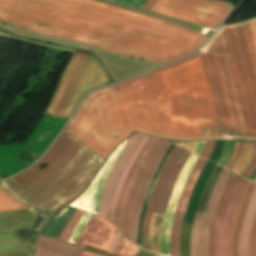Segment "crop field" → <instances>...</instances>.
<instances>
[{
  "mask_svg": "<svg viewBox=\"0 0 256 256\" xmlns=\"http://www.w3.org/2000/svg\"><path fill=\"white\" fill-rule=\"evenodd\" d=\"M173 147H174V145L171 144V146H170L168 152H167L166 155L163 157V159H162V161H161V163H160V166H159V168H158V170H157V173H156V175H155V177H154V179H153V181H152V183H151V185H150V188H149V190H148L147 196H146V198H145L144 205H143L142 212H141L140 219H139V224H138V232H137L136 244L139 245V246H140V243H141V234H142L143 219H144V215H145V211H146L147 204H148V202H149V199H150V197H151V194H152V192H153V189H154V187H155V184H156V182H157V179H158V177H159V174H160V172H161V170H162V167H163V165H164V163H165V161H166V159H167L169 153H170L171 150L173 149Z\"/></svg>",
  "mask_w": 256,
  "mask_h": 256,
  "instance_id": "obj_16",
  "label": "crop field"
},
{
  "mask_svg": "<svg viewBox=\"0 0 256 256\" xmlns=\"http://www.w3.org/2000/svg\"><path fill=\"white\" fill-rule=\"evenodd\" d=\"M36 247L61 253L67 256H84L79 254L83 248L82 246L43 235H41Z\"/></svg>",
  "mask_w": 256,
  "mask_h": 256,
  "instance_id": "obj_10",
  "label": "crop field"
},
{
  "mask_svg": "<svg viewBox=\"0 0 256 256\" xmlns=\"http://www.w3.org/2000/svg\"><path fill=\"white\" fill-rule=\"evenodd\" d=\"M140 248L124 239L122 236L119 239L114 255L118 256H134Z\"/></svg>",
  "mask_w": 256,
  "mask_h": 256,
  "instance_id": "obj_18",
  "label": "crop field"
},
{
  "mask_svg": "<svg viewBox=\"0 0 256 256\" xmlns=\"http://www.w3.org/2000/svg\"><path fill=\"white\" fill-rule=\"evenodd\" d=\"M255 213H256V188L252 194L249 206L247 208V211L242 223L238 256H247L248 236H249L250 228H251Z\"/></svg>",
  "mask_w": 256,
  "mask_h": 256,
  "instance_id": "obj_12",
  "label": "crop field"
},
{
  "mask_svg": "<svg viewBox=\"0 0 256 256\" xmlns=\"http://www.w3.org/2000/svg\"><path fill=\"white\" fill-rule=\"evenodd\" d=\"M204 142L205 141L197 142L196 147H195L194 150H193V148H194L196 142H192V143H177V145H179V146H181V147H183V148H185V149H187V150H189L191 152L193 150L192 153H194V154L199 156V154H200V152H201V150H202V148L204 146Z\"/></svg>",
  "mask_w": 256,
  "mask_h": 256,
  "instance_id": "obj_23",
  "label": "crop field"
},
{
  "mask_svg": "<svg viewBox=\"0 0 256 256\" xmlns=\"http://www.w3.org/2000/svg\"><path fill=\"white\" fill-rule=\"evenodd\" d=\"M190 153L184 151L175 145L174 149L170 153L164 168L160 174L150 202L148 204L144 226H143V235H142V243L141 247L148 250V237L150 231V225L153 213L156 214H165L167 204L175 183L184 163L186 162ZM197 157L190 154L182 172L180 173L169 204L165 214V217L162 215L154 214L150 237H149V250L152 252H156L160 254V234H161V226H162V234H161V254L164 256H170V238H171V227L172 221L176 209V205L181 193V190L184 186L185 180L195 162Z\"/></svg>",
  "mask_w": 256,
  "mask_h": 256,
  "instance_id": "obj_1",
  "label": "crop field"
},
{
  "mask_svg": "<svg viewBox=\"0 0 256 256\" xmlns=\"http://www.w3.org/2000/svg\"><path fill=\"white\" fill-rule=\"evenodd\" d=\"M84 212L76 210V212L72 215L69 219L67 225L65 226L64 230L62 231L59 239L68 241L69 237L71 236L72 232L74 231L79 219L83 216Z\"/></svg>",
  "mask_w": 256,
  "mask_h": 256,
  "instance_id": "obj_19",
  "label": "crop field"
},
{
  "mask_svg": "<svg viewBox=\"0 0 256 256\" xmlns=\"http://www.w3.org/2000/svg\"><path fill=\"white\" fill-rule=\"evenodd\" d=\"M119 237H120V235H119V233L117 231V233H116V235H115V237H114V239H113V241L111 243V246H110V248L108 250V253H111V254L113 253V250H114V248H115V246H116V244L118 242Z\"/></svg>",
  "mask_w": 256,
  "mask_h": 256,
  "instance_id": "obj_31",
  "label": "crop field"
},
{
  "mask_svg": "<svg viewBox=\"0 0 256 256\" xmlns=\"http://www.w3.org/2000/svg\"><path fill=\"white\" fill-rule=\"evenodd\" d=\"M251 183L252 182H248L242 196H241V199H240V202H239V205H238V208H237V211H236V215H235V219H234V223H233V227H232V231H231V235H230V243H229V256H232L233 255V238H234V234H235V228H236V224H237V220H238V216H239V213L241 211V208L243 206V203L245 201V198L247 196V192L251 186Z\"/></svg>",
  "mask_w": 256,
  "mask_h": 256,
  "instance_id": "obj_20",
  "label": "crop field"
},
{
  "mask_svg": "<svg viewBox=\"0 0 256 256\" xmlns=\"http://www.w3.org/2000/svg\"><path fill=\"white\" fill-rule=\"evenodd\" d=\"M159 256V255H158Z\"/></svg>",
  "mask_w": 256,
  "mask_h": 256,
  "instance_id": "obj_35",
  "label": "crop field"
},
{
  "mask_svg": "<svg viewBox=\"0 0 256 256\" xmlns=\"http://www.w3.org/2000/svg\"><path fill=\"white\" fill-rule=\"evenodd\" d=\"M254 181H256V178L254 179Z\"/></svg>",
  "mask_w": 256,
  "mask_h": 256,
  "instance_id": "obj_33",
  "label": "crop field"
},
{
  "mask_svg": "<svg viewBox=\"0 0 256 256\" xmlns=\"http://www.w3.org/2000/svg\"><path fill=\"white\" fill-rule=\"evenodd\" d=\"M84 250H87V251H90V252H93V253H96V254H99V255H102V256H114V255L105 253L103 251H100L98 249L90 248V247H87V246L84 247ZM151 255H152V253H149V252H146V251H143V250L140 249V251L137 253L136 256H151Z\"/></svg>",
  "mask_w": 256,
  "mask_h": 256,
  "instance_id": "obj_25",
  "label": "crop field"
},
{
  "mask_svg": "<svg viewBox=\"0 0 256 256\" xmlns=\"http://www.w3.org/2000/svg\"><path fill=\"white\" fill-rule=\"evenodd\" d=\"M213 145H214V141H206V146L203 149V152L200 155V157H204V158L208 159V157L213 149Z\"/></svg>",
  "mask_w": 256,
  "mask_h": 256,
  "instance_id": "obj_27",
  "label": "crop field"
},
{
  "mask_svg": "<svg viewBox=\"0 0 256 256\" xmlns=\"http://www.w3.org/2000/svg\"><path fill=\"white\" fill-rule=\"evenodd\" d=\"M248 256H256V216L252 225Z\"/></svg>",
  "mask_w": 256,
  "mask_h": 256,
  "instance_id": "obj_22",
  "label": "crop field"
},
{
  "mask_svg": "<svg viewBox=\"0 0 256 256\" xmlns=\"http://www.w3.org/2000/svg\"><path fill=\"white\" fill-rule=\"evenodd\" d=\"M157 141H158L157 138L151 137V139L149 140L146 147L138 157L137 161L135 162L131 172L129 173L126 179L121 197L118 201V206H117V210H116V214L113 222V224L116 226L119 232L121 231L124 213H125L127 202L131 194L133 183L135 182L142 166L144 165L149 153L151 152V150L153 149Z\"/></svg>",
  "mask_w": 256,
  "mask_h": 256,
  "instance_id": "obj_8",
  "label": "crop field"
},
{
  "mask_svg": "<svg viewBox=\"0 0 256 256\" xmlns=\"http://www.w3.org/2000/svg\"><path fill=\"white\" fill-rule=\"evenodd\" d=\"M228 173L227 169H224L223 173L221 174L215 189L213 191V194L211 196V199L209 201V204L207 206V210H206V214L204 217V221H203V225H202V229H201V234H200V252H199V256H206V235H207V230H208V226L212 217V213L215 207V203L217 200V196L218 193L220 191V188L223 184V181L226 177Z\"/></svg>",
  "mask_w": 256,
  "mask_h": 256,
  "instance_id": "obj_11",
  "label": "crop field"
},
{
  "mask_svg": "<svg viewBox=\"0 0 256 256\" xmlns=\"http://www.w3.org/2000/svg\"><path fill=\"white\" fill-rule=\"evenodd\" d=\"M230 174H231V171L229 172V174H228V176H227V178H226V180H225V182H224V185H223V187H222V189H221V192H222V190H223V188H224V186H225V184H226V182H227V180H228ZM221 192H220V194H219V196H218V200H217V203H216V207H217L218 201H219V199H220ZM216 207H215V210H216ZM215 210H214V214H215ZM214 214H213V217H212V221H211V225H210V230H211V226H212ZM210 230H209V235H210ZM208 249H209V236H208V242H207V256H208Z\"/></svg>",
  "mask_w": 256,
  "mask_h": 256,
  "instance_id": "obj_29",
  "label": "crop field"
},
{
  "mask_svg": "<svg viewBox=\"0 0 256 256\" xmlns=\"http://www.w3.org/2000/svg\"><path fill=\"white\" fill-rule=\"evenodd\" d=\"M143 137L141 134H133L129 140L126 142L124 147L122 148L121 152L119 153L112 169L109 172L108 178L104 184L99 209H98V215L106 217L107 210L110 204L111 200V194L113 187L115 185V182L127 160L132 150L135 148L137 143L140 141V139Z\"/></svg>",
  "mask_w": 256,
  "mask_h": 256,
  "instance_id": "obj_5",
  "label": "crop field"
},
{
  "mask_svg": "<svg viewBox=\"0 0 256 256\" xmlns=\"http://www.w3.org/2000/svg\"><path fill=\"white\" fill-rule=\"evenodd\" d=\"M166 144H167V141L159 139L157 145L152 150L150 156L148 157L145 165L143 166V168L133 186L132 194H131V197H130V200H129V203H128V206L126 209L124 223H123V227H122V231H121V234L128 239H130V237H131L134 215H135V211L137 208V204L139 201L141 191L143 189L146 179H147L157 157L159 156L160 152L162 151V149L164 148V146Z\"/></svg>",
  "mask_w": 256,
  "mask_h": 256,
  "instance_id": "obj_3",
  "label": "crop field"
},
{
  "mask_svg": "<svg viewBox=\"0 0 256 256\" xmlns=\"http://www.w3.org/2000/svg\"><path fill=\"white\" fill-rule=\"evenodd\" d=\"M255 185H256V183L253 182V184H252V186H251V188L249 190L248 196L246 198V201L244 203V206L242 208V211L240 213V216H239V220H238V224H237V229H236V234H235V238H234V256H237V253H238V240H239L240 227H241V223H242V220H243V217H244L247 205H248L249 200H250L251 193H252Z\"/></svg>",
  "mask_w": 256,
  "mask_h": 256,
  "instance_id": "obj_21",
  "label": "crop field"
},
{
  "mask_svg": "<svg viewBox=\"0 0 256 256\" xmlns=\"http://www.w3.org/2000/svg\"><path fill=\"white\" fill-rule=\"evenodd\" d=\"M239 143H240V142H235V144H234L233 154H232V156H231L229 162H228L227 165H226V167H228V168H229V166L231 165V163L233 162V160H234V158H235V156H236V154H237L238 147H239Z\"/></svg>",
  "mask_w": 256,
  "mask_h": 256,
  "instance_id": "obj_30",
  "label": "crop field"
},
{
  "mask_svg": "<svg viewBox=\"0 0 256 256\" xmlns=\"http://www.w3.org/2000/svg\"><path fill=\"white\" fill-rule=\"evenodd\" d=\"M206 160L198 158L187 181L184 186L183 193L181 195L180 201L177 206L176 214L173 221L172 227V238H171V256H180L179 255V234L181 229V224L183 220V215L188 203V200L191 196L192 189L195 185L197 177L203 168Z\"/></svg>",
  "mask_w": 256,
  "mask_h": 256,
  "instance_id": "obj_7",
  "label": "crop field"
},
{
  "mask_svg": "<svg viewBox=\"0 0 256 256\" xmlns=\"http://www.w3.org/2000/svg\"><path fill=\"white\" fill-rule=\"evenodd\" d=\"M204 215L196 214L191 236H190V256H198L199 233Z\"/></svg>",
  "mask_w": 256,
  "mask_h": 256,
  "instance_id": "obj_17",
  "label": "crop field"
},
{
  "mask_svg": "<svg viewBox=\"0 0 256 256\" xmlns=\"http://www.w3.org/2000/svg\"><path fill=\"white\" fill-rule=\"evenodd\" d=\"M153 256H156V254H154Z\"/></svg>",
  "mask_w": 256,
  "mask_h": 256,
  "instance_id": "obj_34",
  "label": "crop field"
},
{
  "mask_svg": "<svg viewBox=\"0 0 256 256\" xmlns=\"http://www.w3.org/2000/svg\"><path fill=\"white\" fill-rule=\"evenodd\" d=\"M150 139V136H146L144 135V137L141 139V141L138 143V145L136 146V148L134 149V151L132 152V154L130 155L116 185L115 188L113 190V194H112V200H111V205H110V209H109V213H108V217L107 219L112 222L113 218H114V214H115V210H116V205H117V201L120 197V193H121V189L124 185V181L129 173V171L131 170L134 162L136 161L137 157L139 156L140 152L142 151V149L144 148L145 144L147 143V141Z\"/></svg>",
  "mask_w": 256,
  "mask_h": 256,
  "instance_id": "obj_9",
  "label": "crop field"
},
{
  "mask_svg": "<svg viewBox=\"0 0 256 256\" xmlns=\"http://www.w3.org/2000/svg\"><path fill=\"white\" fill-rule=\"evenodd\" d=\"M223 170V167L215 164L210 176H209V179L204 187V190H203V193H202V196H201V199H200V202H199V206H198V209H197V212L196 213H200V214H204L205 213V209H206V206H207V203H208V199H209V196H210V193L221 173V171Z\"/></svg>",
  "mask_w": 256,
  "mask_h": 256,
  "instance_id": "obj_14",
  "label": "crop field"
},
{
  "mask_svg": "<svg viewBox=\"0 0 256 256\" xmlns=\"http://www.w3.org/2000/svg\"><path fill=\"white\" fill-rule=\"evenodd\" d=\"M81 254H84V255H87V256H99V255H96V254H93V253H90V252H87V251H84V250H82Z\"/></svg>",
  "mask_w": 256,
  "mask_h": 256,
  "instance_id": "obj_32",
  "label": "crop field"
},
{
  "mask_svg": "<svg viewBox=\"0 0 256 256\" xmlns=\"http://www.w3.org/2000/svg\"><path fill=\"white\" fill-rule=\"evenodd\" d=\"M254 144L253 142H241L238 155L230 169L241 175L251 159Z\"/></svg>",
  "mask_w": 256,
  "mask_h": 256,
  "instance_id": "obj_13",
  "label": "crop field"
},
{
  "mask_svg": "<svg viewBox=\"0 0 256 256\" xmlns=\"http://www.w3.org/2000/svg\"><path fill=\"white\" fill-rule=\"evenodd\" d=\"M171 143L168 142V144L166 145V147L163 149V151L161 152L159 158L157 159L148 179H147V182L144 186V189H143V192L141 194V197H140V201H139V204H138V208H137V212H136V216H135V220H134V225H133V231H132V237H131V241L135 242L136 240V232H137V224H138V219H139V215H140V212H141V208H142V205H143V201H144V198L146 196V193H147V190L149 188V185L153 179V176L158 168V165L162 159V157L164 156L165 152L167 151V149L169 148Z\"/></svg>",
  "mask_w": 256,
  "mask_h": 256,
  "instance_id": "obj_15",
  "label": "crop field"
},
{
  "mask_svg": "<svg viewBox=\"0 0 256 256\" xmlns=\"http://www.w3.org/2000/svg\"><path fill=\"white\" fill-rule=\"evenodd\" d=\"M91 214L85 212L84 216L82 217L81 221L79 222L78 226L76 227L71 239H70V242H73L75 243L78 235L80 234L82 228L84 227L85 223L87 222V220L90 218Z\"/></svg>",
  "mask_w": 256,
  "mask_h": 256,
  "instance_id": "obj_24",
  "label": "crop field"
},
{
  "mask_svg": "<svg viewBox=\"0 0 256 256\" xmlns=\"http://www.w3.org/2000/svg\"><path fill=\"white\" fill-rule=\"evenodd\" d=\"M35 256H64L57 253L41 250L36 248Z\"/></svg>",
  "mask_w": 256,
  "mask_h": 256,
  "instance_id": "obj_28",
  "label": "crop field"
},
{
  "mask_svg": "<svg viewBox=\"0 0 256 256\" xmlns=\"http://www.w3.org/2000/svg\"><path fill=\"white\" fill-rule=\"evenodd\" d=\"M247 182L232 173L216 210L211 231L209 256H228L229 235L235 211Z\"/></svg>",
  "mask_w": 256,
  "mask_h": 256,
  "instance_id": "obj_2",
  "label": "crop field"
},
{
  "mask_svg": "<svg viewBox=\"0 0 256 256\" xmlns=\"http://www.w3.org/2000/svg\"><path fill=\"white\" fill-rule=\"evenodd\" d=\"M125 142H123L120 146L117 147L115 151H113L107 163L105 162L106 164L101 168V170L99 171L98 175L96 176V178L94 179L90 187L85 191V193L82 196H80L73 203H71L70 206L83 209L96 214L98 204H99V199H100V193H101V189L103 187L104 181L107 177V174L116 156L118 155L119 151L121 150Z\"/></svg>",
  "mask_w": 256,
  "mask_h": 256,
  "instance_id": "obj_6",
  "label": "crop field"
},
{
  "mask_svg": "<svg viewBox=\"0 0 256 256\" xmlns=\"http://www.w3.org/2000/svg\"><path fill=\"white\" fill-rule=\"evenodd\" d=\"M255 168H256V145H255V149L253 152L251 162L249 163L246 170L243 172L242 176L248 178L252 174V172L254 171Z\"/></svg>",
  "mask_w": 256,
  "mask_h": 256,
  "instance_id": "obj_26",
  "label": "crop field"
},
{
  "mask_svg": "<svg viewBox=\"0 0 256 256\" xmlns=\"http://www.w3.org/2000/svg\"><path fill=\"white\" fill-rule=\"evenodd\" d=\"M116 231L110 222L92 215L79 235L76 244L83 246L86 244L107 252Z\"/></svg>",
  "mask_w": 256,
  "mask_h": 256,
  "instance_id": "obj_4",
  "label": "crop field"
}]
</instances>
